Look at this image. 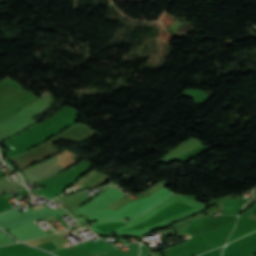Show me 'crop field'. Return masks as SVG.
<instances>
[{"label": "crop field", "mask_w": 256, "mask_h": 256, "mask_svg": "<svg viewBox=\"0 0 256 256\" xmlns=\"http://www.w3.org/2000/svg\"><path fill=\"white\" fill-rule=\"evenodd\" d=\"M41 208H43V207H41ZM35 209H37V208H35Z\"/></svg>", "instance_id": "crop-field-2"}, {"label": "crop field", "mask_w": 256, "mask_h": 256, "mask_svg": "<svg viewBox=\"0 0 256 256\" xmlns=\"http://www.w3.org/2000/svg\"><path fill=\"white\" fill-rule=\"evenodd\" d=\"M27 181H28V180H27ZM27 181H25V182H27ZM25 182H24V183H25Z\"/></svg>", "instance_id": "crop-field-1"}]
</instances>
